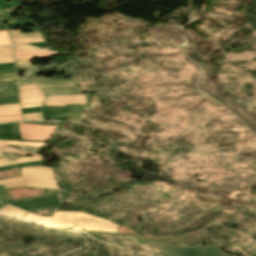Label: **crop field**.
<instances>
[{
	"label": "crop field",
	"mask_w": 256,
	"mask_h": 256,
	"mask_svg": "<svg viewBox=\"0 0 256 256\" xmlns=\"http://www.w3.org/2000/svg\"><path fill=\"white\" fill-rule=\"evenodd\" d=\"M24 220L53 227H72L73 225L118 227L117 224L102 218L73 211H55L53 217L35 215L28 212Z\"/></svg>",
	"instance_id": "crop-field-1"
},
{
	"label": "crop field",
	"mask_w": 256,
	"mask_h": 256,
	"mask_svg": "<svg viewBox=\"0 0 256 256\" xmlns=\"http://www.w3.org/2000/svg\"><path fill=\"white\" fill-rule=\"evenodd\" d=\"M0 184H4L5 189L32 186L60 190L51 168L46 167L22 168L21 178L3 179Z\"/></svg>",
	"instance_id": "crop-field-2"
},
{
	"label": "crop field",
	"mask_w": 256,
	"mask_h": 256,
	"mask_svg": "<svg viewBox=\"0 0 256 256\" xmlns=\"http://www.w3.org/2000/svg\"><path fill=\"white\" fill-rule=\"evenodd\" d=\"M19 85L38 83L45 94H79L80 89L73 79H18Z\"/></svg>",
	"instance_id": "crop-field-3"
},
{
	"label": "crop field",
	"mask_w": 256,
	"mask_h": 256,
	"mask_svg": "<svg viewBox=\"0 0 256 256\" xmlns=\"http://www.w3.org/2000/svg\"><path fill=\"white\" fill-rule=\"evenodd\" d=\"M22 139L34 141H48L52 130L57 126H42L19 123Z\"/></svg>",
	"instance_id": "crop-field-4"
},
{
	"label": "crop field",
	"mask_w": 256,
	"mask_h": 256,
	"mask_svg": "<svg viewBox=\"0 0 256 256\" xmlns=\"http://www.w3.org/2000/svg\"><path fill=\"white\" fill-rule=\"evenodd\" d=\"M83 103H85L84 95L52 96V97H48L45 105L64 107L65 104H83Z\"/></svg>",
	"instance_id": "crop-field-5"
},
{
	"label": "crop field",
	"mask_w": 256,
	"mask_h": 256,
	"mask_svg": "<svg viewBox=\"0 0 256 256\" xmlns=\"http://www.w3.org/2000/svg\"><path fill=\"white\" fill-rule=\"evenodd\" d=\"M19 92L21 100L45 98L38 84L19 86Z\"/></svg>",
	"instance_id": "crop-field-6"
},
{
	"label": "crop field",
	"mask_w": 256,
	"mask_h": 256,
	"mask_svg": "<svg viewBox=\"0 0 256 256\" xmlns=\"http://www.w3.org/2000/svg\"><path fill=\"white\" fill-rule=\"evenodd\" d=\"M52 53V54H49ZM24 54H49V55H25V56H18V55H24ZM16 59H24V58H36V57H51L54 56L55 53L44 51V50H36V51H22V52H15ZM31 59H24V60H16L17 65L26 64L31 65L30 62Z\"/></svg>",
	"instance_id": "crop-field-7"
},
{
	"label": "crop field",
	"mask_w": 256,
	"mask_h": 256,
	"mask_svg": "<svg viewBox=\"0 0 256 256\" xmlns=\"http://www.w3.org/2000/svg\"><path fill=\"white\" fill-rule=\"evenodd\" d=\"M0 213H4L9 216L23 219V217L26 215L27 211L7 204L0 210Z\"/></svg>",
	"instance_id": "crop-field-8"
},
{
	"label": "crop field",
	"mask_w": 256,
	"mask_h": 256,
	"mask_svg": "<svg viewBox=\"0 0 256 256\" xmlns=\"http://www.w3.org/2000/svg\"><path fill=\"white\" fill-rule=\"evenodd\" d=\"M0 156H2V158H0V166L42 160L40 156H31V157L18 158L17 160L10 161L2 153H0Z\"/></svg>",
	"instance_id": "crop-field-9"
},
{
	"label": "crop field",
	"mask_w": 256,
	"mask_h": 256,
	"mask_svg": "<svg viewBox=\"0 0 256 256\" xmlns=\"http://www.w3.org/2000/svg\"><path fill=\"white\" fill-rule=\"evenodd\" d=\"M14 62L12 46L0 47V63Z\"/></svg>",
	"instance_id": "crop-field-10"
},
{
	"label": "crop field",
	"mask_w": 256,
	"mask_h": 256,
	"mask_svg": "<svg viewBox=\"0 0 256 256\" xmlns=\"http://www.w3.org/2000/svg\"><path fill=\"white\" fill-rule=\"evenodd\" d=\"M8 145H26V146H38V147H44L45 143L0 141V147L8 146Z\"/></svg>",
	"instance_id": "crop-field-11"
},
{
	"label": "crop field",
	"mask_w": 256,
	"mask_h": 256,
	"mask_svg": "<svg viewBox=\"0 0 256 256\" xmlns=\"http://www.w3.org/2000/svg\"><path fill=\"white\" fill-rule=\"evenodd\" d=\"M12 40H13L14 44H26V43L43 41L42 37L16 38V39H12Z\"/></svg>",
	"instance_id": "crop-field-12"
},
{
	"label": "crop field",
	"mask_w": 256,
	"mask_h": 256,
	"mask_svg": "<svg viewBox=\"0 0 256 256\" xmlns=\"http://www.w3.org/2000/svg\"><path fill=\"white\" fill-rule=\"evenodd\" d=\"M73 229H78V230H101V231H111V232H116V230H117V229L108 228V227H92V226H74Z\"/></svg>",
	"instance_id": "crop-field-13"
},
{
	"label": "crop field",
	"mask_w": 256,
	"mask_h": 256,
	"mask_svg": "<svg viewBox=\"0 0 256 256\" xmlns=\"http://www.w3.org/2000/svg\"><path fill=\"white\" fill-rule=\"evenodd\" d=\"M44 164L43 161H37V162H31V163H24V164H17V165H11V166H5V167H0V171L20 167V166H33V165H41Z\"/></svg>",
	"instance_id": "crop-field-14"
},
{
	"label": "crop field",
	"mask_w": 256,
	"mask_h": 256,
	"mask_svg": "<svg viewBox=\"0 0 256 256\" xmlns=\"http://www.w3.org/2000/svg\"><path fill=\"white\" fill-rule=\"evenodd\" d=\"M11 38H16V37H27V36H40L39 32L36 33H26V34H21L20 30L17 31H8Z\"/></svg>",
	"instance_id": "crop-field-15"
},
{
	"label": "crop field",
	"mask_w": 256,
	"mask_h": 256,
	"mask_svg": "<svg viewBox=\"0 0 256 256\" xmlns=\"http://www.w3.org/2000/svg\"><path fill=\"white\" fill-rule=\"evenodd\" d=\"M12 42L6 31H0V46L11 45Z\"/></svg>",
	"instance_id": "crop-field-16"
},
{
	"label": "crop field",
	"mask_w": 256,
	"mask_h": 256,
	"mask_svg": "<svg viewBox=\"0 0 256 256\" xmlns=\"http://www.w3.org/2000/svg\"><path fill=\"white\" fill-rule=\"evenodd\" d=\"M19 103L18 96L0 98V105Z\"/></svg>",
	"instance_id": "crop-field-17"
},
{
	"label": "crop field",
	"mask_w": 256,
	"mask_h": 256,
	"mask_svg": "<svg viewBox=\"0 0 256 256\" xmlns=\"http://www.w3.org/2000/svg\"><path fill=\"white\" fill-rule=\"evenodd\" d=\"M12 87H17L16 80L1 81L0 82V89L1 88H12Z\"/></svg>",
	"instance_id": "crop-field-18"
},
{
	"label": "crop field",
	"mask_w": 256,
	"mask_h": 256,
	"mask_svg": "<svg viewBox=\"0 0 256 256\" xmlns=\"http://www.w3.org/2000/svg\"><path fill=\"white\" fill-rule=\"evenodd\" d=\"M23 120H41V113L22 115Z\"/></svg>",
	"instance_id": "crop-field-19"
},
{
	"label": "crop field",
	"mask_w": 256,
	"mask_h": 256,
	"mask_svg": "<svg viewBox=\"0 0 256 256\" xmlns=\"http://www.w3.org/2000/svg\"><path fill=\"white\" fill-rule=\"evenodd\" d=\"M13 94H18L17 88L0 90V96H2V95H13Z\"/></svg>",
	"instance_id": "crop-field-20"
},
{
	"label": "crop field",
	"mask_w": 256,
	"mask_h": 256,
	"mask_svg": "<svg viewBox=\"0 0 256 256\" xmlns=\"http://www.w3.org/2000/svg\"><path fill=\"white\" fill-rule=\"evenodd\" d=\"M0 152H12V153H29V154H34L32 152H24V151H19L15 148H9V147H3L0 148Z\"/></svg>",
	"instance_id": "crop-field-21"
},
{
	"label": "crop field",
	"mask_w": 256,
	"mask_h": 256,
	"mask_svg": "<svg viewBox=\"0 0 256 256\" xmlns=\"http://www.w3.org/2000/svg\"><path fill=\"white\" fill-rule=\"evenodd\" d=\"M43 99H38V100H26V101H21V105H27V104H39L42 103Z\"/></svg>",
	"instance_id": "crop-field-22"
},
{
	"label": "crop field",
	"mask_w": 256,
	"mask_h": 256,
	"mask_svg": "<svg viewBox=\"0 0 256 256\" xmlns=\"http://www.w3.org/2000/svg\"><path fill=\"white\" fill-rule=\"evenodd\" d=\"M7 203L4 193H3V186H0V205L1 207L4 206Z\"/></svg>",
	"instance_id": "crop-field-23"
},
{
	"label": "crop field",
	"mask_w": 256,
	"mask_h": 256,
	"mask_svg": "<svg viewBox=\"0 0 256 256\" xmlns=\"http://www.w3.org/2000/svg\"><path fill=\"white\" fill-rule=\"evenodd\" d=\"M41 107L38 108H28V109H22L23 114L26 113H35V112H40Z\"/></svg>",
	"instance_id": "crop-field-24"
},
{
	"label": "crop field",
	"mask_w": 256,
	"mask_h": 256,
	"mask_svg": "<svg viewBox=\"0 0 256 256\" xmlns=\"http://www.w3.org/2000/svg\"><path fill=\"white\" fill-rule=\"evenodd\" d=\"M15 120H21L20 116L2 117V118H0V122H4V121H15Z\"/></svg>",
	"instance_id": "crop-field-25"
},
{
	"label": "crop field",
	"mask_w": 256,
	"mask_h": 256,
	"mask_svg": "<svg viewBox=\"0 0 256 256\" xmlns=\"http://www.w3.org/2000/svg\"><path fill=\"white\" fill-rule=\"evenodd\" d=\"M20 114V110L0 112V116Z\"/></svg>",
	"instance_id": "crop-field-26"
},
{
	"label": "crop field",
	"mask_w": 256,
	"mask_h": 256,
	"mask_svg": "<svg viewBox=\"0 0 256 256\" xmlns=\"http://www.w3.org/2000/svg\"><path fill=\"white\" fill-rule=\"evenodd\" d=\"M33 49H38V48L29 47V46H15V51H19V50H33Z\"/></svg>",
	"instance_id": "crop-field-27"
},
{
	"label": "crop field",
	"mask_w": 256,
	"mask_h": 256,
	"mask_svg": "<svg viewBox=\"0 0 256 256\" xmlns=\"http://www.w3.org/2000/svg\"><path fill=\"white\" fill-rule=\"evenodd\" d=\"M11 79H16L15 74L0 76V80H11Z\"/></svg>",
	"instance_id": "crop-field-28"
},
{
	"label": "crop field",
	"mask_w": 256,
	"mask_h": 256,
	"mask_svg": "<svg viewBox=\"0 0 256 256\" xmlns=\"http://www.w3.org/2000/svg\"><path fill=\"white\" fill-rule=\"evenodd\" d=\"M14 107H19V104L0 106V109H3V108H14Z\"/></svg>",
	"instance_id": "crop-field-29"
},
{
	"label": "crop field",
	"mask_w": 256,
	"mask_h": 256,
	"mask_svg": "<svg viewBox=\"0 0 256 256\" xmlns=\"http://www.w3.org/2000/svg\"><path fill=\"white\" fill-rule=\"evenodd\" d=\"M42 104L40 105H28V106H21L22 108H27V107H37V106H41Z\"/></svg>",
	"instance_id": "crop-field-30"
},
{
	"label": "crop field",
	"mask_w": 256,
	"mask_h": 256,
	"mask_svg": "<svg viewBox=\"0 0 256 256\" xmlns=\"http://www.w3.org/2000/svg\"><path fill=\"white\" fill-rule=\"evenodd\" d=\"M2 29H5V28H4V26H3V24H2V22L0 20V30H2Z\"/></svg>",
	"instance_id": "crop-field-31"
},
{
	"label": "crop field",
	"mask_w": 256,
	"mask_h": 256,
	"mask_svg": "<svg viewBox=\"0 0 256 256\" xmlns=\"http://www.w3.org/2000/svg\"><path fill=\"white\" fill-rule=\"evenodd\" d=\"M15 109H20V108H14V109H3V110H0V111H4V110H15Z\"/></svg>",
	"instance_id": "crop-field-32"
}]
</instances>
